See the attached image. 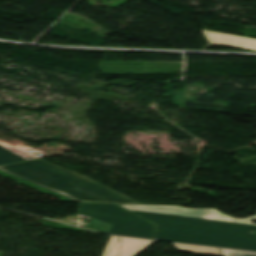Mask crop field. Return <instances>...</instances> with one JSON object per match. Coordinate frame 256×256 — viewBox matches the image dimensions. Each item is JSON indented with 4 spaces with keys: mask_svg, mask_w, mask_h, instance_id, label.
Here are the masks:
<instances>
[{
    "mask_svg": "<svg viewBox=\"0 0 256 256\" xmlns=\"http://www.w3.org/2000/svg\"><path fill=\"white\" fill-rule=\"evenodd\" d=\"M25 159L15 155L14 153L4 149L0 146V165L24 161Z\"/></svg>",
    "mask_w": 256,
    "mask_h": 256,
    "instance_id": "d8731c3e",
    "label": "crop field"
},
{
    "mask_svg": "<svg viewBox=\"0 0 256 256\" xmlns=\"http://www.w3.org/2000/svg\"><path fill=\"white\" fill-rule=\"evenodd\" d=\"M202 32L208 40L209 44L238 47L256 51L255 39L237 37L203 30Z\"/></svg>",
    "mask_w": 256,
    "mask_h": 256,
    "instance_id": "dd49c442",
    "label": "crop field"
},
{
    "mask_svg": "<svg viewBox=\"0 0 256 256\" xmlns=\"http://www.w3.org/2000/svg\"><path fill=\"white\" fill-rule=\"evenodd\" d=\"M171 244L179 251L221 256L219 250L214 248H206V247H198V246H190V245H182V244H174V243H171Z\"/></svg>",
    "mask_w": 256,
    "mask_h": 256,
    "instance_id": "e52e79f7",
    "label": "crop field"
},
{
    "mask_svg": "<svg viewBox=\"0 0 256 256\" xmlns=\"http://www.w3.org/2000/svg\"><path fill=\"white\" fill-rule=\"evenodd\" d=\"M223 256H256V253L220 249Z\"/></svg>",
    "mask_w": 256,
    "mask_h": 256,
    "instance_id": "5a996713",
    "label": "crop field"
},
{
    "mask_svg": "<svg viewBox=\"0 0 256 256\" xmlns=\"http://www.w3.org/2000/svg\"><path fill=\"white\" fill-rule=\"evenodd\" d=\"M77 214L111 224L108 234L150 239L155 229L116 205L80 204Z\"/></svg>",
    "mask_w": 256,
    "mask_h": 256,
    "instance_id": "34b2d1b8",
    "label": "crop field"
},
{
    "mask_svg": "<svg viewBox=\"0 0 256 256\" xmlns=\"http://www.w3.org/2000/svg\"><path fill=\"white\" fill-rule=\"evenodd\" d=\"M158 225L153 239L256 251V216L236 220L216 209L119 204Z\"/></svg>",
    "mask_w": 256,
    "mask_h": 256,
    "instance_id": "8a807250",
    "label": "crop field"
},
{
    "mask_svg": "<svg viewBox=\"0 0 256 256\" xmlns=\"http://www.w3.org/2000/svg\"><path fill=\"white\" fill-rule=\"evenodd\" d=\"M0 170L54 190L76 201L140 204L42 159L3 165L0 166Z\"/></svg>",
    "mask_w": 256,
    "mask_h": 256,
    "instance_id": "ac0d7876",
    "label": "crop field"
},
{
    "mask_svg": "<svg viewBox=\"0 0 256 256\" xmlns=\"http://www.w3.org/2000/svg\"><path fill=\"white\" fill-rule=\"evenodd\" d=\"M154 241L110 236L102 256H135Z\"/></svg>",
    "mask_w": 256,
    "mask_h": 256,
    "instance_id": "f4fd0767",
    "label": "crop field"
},
{
    "mask_svg": "<svg viewBox=\"0 0 256 256\" xmlns=\"http://www.w3.org/2000/svg\"><path fill=\"white\" fill-rule=\"evenodd\" d=\"M181 69L182 63L101 61V72L106 73H167Z\"/></svg>",
    "mask_w": 256,
    "mask_h": 256,
    "instance_id": "412701ff",
    "label": "crop field"
}]
</instances>
